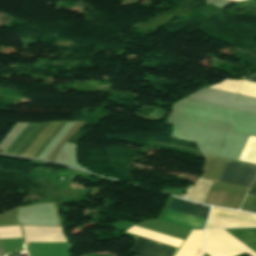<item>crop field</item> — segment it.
<instances>
[{
  "mask_svg": "<svg viewBox=\"0 0 256 256\" xmlns=\"http://www.w3.org/2000/svg\"><path fill=\"white\" fill-rule=\"evenodd\" d=\"M136 243L130 250L135 256H173L177 248L136 237Z\"/></svg>",
  "mask_w": 256,
  "mask_h": 256,
  "instance_id": "crop-field-2",
  "label": "crop field"
},
{
  "mask_svg": "<svg viewBox=\"0 0 256 256\" xmlns=\"http://www.w3.org/2000/svg\"><path fill=\"white\" fill-rule=\"evenodd\" d=\"M249 81L256 82V73L252 75V77L249 79Z\"/></svg>",
  "mask_w": 256,
  "mask_h": 256,
  "instance_id": "crop-field-9",
  "label": "crop field"
},
{
  "mask_svg": "<svg viewBox=\"0 0 256 256\" xmlns=\"http://www.w3.org/2000/svg\"><path fill=\"white\" fill-rule=\"evenodd\" d=\"M250 190L256 192V178H255V180H254V182H253V184H252ZM251 191H249L248 194H250V195H255V196H256V193H255V192H251Z\"/></svg>",
  "mask_w": 256,
  "mask_h": 256,
  "instance_id": "crop-field-8",
  "label": "crop field"
},
{
  "mask_svg": "<svg viewBox=\"0 0 256 256\" xmlns=\"http://www.w3.org/2000/svg\"><path fill=\"white\" fill-rule=\"evenodd\" d=\"M170 209L206 220L210 208L191 204L179 199H174L173 203L170 206Z\"/></svg>",
  "mask_w": 256,
  "mask_h": 256,
  "instance_id": "crop-field-4",
  "label": "crop field"
},
{
  "mask_svg": "<svg viewBox=\"0 0 256 256\" xmlns=\"http://www.w3.org/2000/svg\"><path fill=\"white\" fill-rule=\"evenodd\" d=\"M238 160L256 164V137H249Z\"/></svg>",
  "mask_w": 256,
  "mask_h": 256,
  "instance_id": "crop-field-7",
  "label": "crop field"
},
{
  "mask_svg": "<svg viewBox=\"0 0 256 256\" xmlns=\"http://www.w3.org/2000/svg\"><path fill=\"white\" fill-rule=\"evenodd\" d=\"M230 1H240V0H230Z\"/></svg>",
  "mask_w": 256,
  "mask_h": 256,
  "instance_id": "crop-field-10",
  "label": "crop field"
},
{
  "mask_svg": "<svg viewBox=\"0 0 256 256\" xmlns=\"http://www.w3.org/2000/svg\"><path fill=\"white\" fill-rule=\"evenodd\" d=\"M210 88L239 93L256 98V84L244 82L242 80L234 81L225 79L213 86H210Z\"/></svg>",
  "mask_w": 256,
  "mask_h": 256,
  "instance_id": "crop-field-3",
  "label": "crop field"
},
{
  "mask_svg": "<svg viewBox=\"0 0 256 256\" xmlns=\"http://www.w3.org/2000/svg\"><path fill=\"white\" fill-rule=\"evenodd\" d=\"M213 182L201 180L196 181L186 192L185 198L203 203Z\"/></svg>",
  "mask_w": 256,
  "mask_h": 256,
  "instance_id": "crop-field-5",
  "label": "crop field"
},
{
  "mask_svg": "<svg viewBox=\"0 0 256 256\" xmlns=\"http://www.w3.org/2000/svg\"><path fill=\"white\" fill-rule=\"evenodd\" d=\"M256 252V229L226 230Z\"/></svg>",
  "mask_w": 256,
  "mask_h": 256,
  "instance_id": "crop-field-6",
  "label": "crop field"
},
{
  "mask_svg": "<svg viewBox=\"0 0 256 256\" xmlns=\"http://www.w3.org/2000/svg\"><path fill=\"white\" fill-rule=\"evenodd\" d=\"M255 174L256 167L228 161L219 181L249 188Z\"/></svg>",
  "mask_w": 256,
  "mask_h": 256,
  "instance_id": "crop-field-1",
  "label": "crop field"
}]
</instances>
